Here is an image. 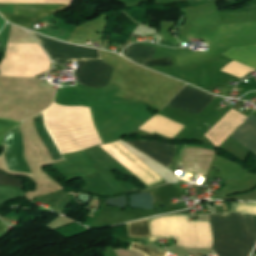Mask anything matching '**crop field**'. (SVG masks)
<instances>
[{
  "label": "crop field",
  "mask_w": 256,
  "mask_h": 256,
  "mask_svg": "<svg viewBox=\"0 0 256 256\" xmlns=\"http://www.w3.org/2000/svg\"><path fill=\"white\" fill-rule=\"evenodd\" d=\"M11 177V176H10ZM0 171V185L14 186L24 189L22 179L10 178Z\"/></svg>",
  "instance_id": "obj_13"
},
{
  "label": "crop field",
  "mask_w": 256,
  "mask_h": 256,
  "mask_svg": "<svg viewBox=\"0 0 256 256\" xmlns=\"http://www.w3.org/2000/svg\"><path fill=\"white\" fill-rule=\"evenodd\" d=\"M49 52L53 60L59 62L72 61V58L99 57L98 50L67 44L29 32ZM42 45V46H43ZM43 47V48H44ZM44 48V49H45ZM51 58V59H52ZM100 58L73 59V61L97 60ZM76 74L79 83L90 88H102L109 84L114 67L104 60L77 62Z\"/></svg>",
  "instance_id": "obj_2"
},
{
  "label": "crop field",
  "mask_w": 256,
  "mask_h": 256,
  "mask_svg": "<svg viewBox=\"0 0 256 256\" xmlns=\"http://www.w3.org/2000/svg\"><path fill=\"white\" fill-rule=\"evenodd\" d=\"M100 147H102L105 151H107L110 155H112L115 159H117L140 179H142L146 185L150 186L160 182H164V180L159 175H157L153 170L146 166L142 161H140L117 141L107 145H102Z\"/></svg>",
  "instance_id": "obj_3"
},
{
  "label": "crop field",
  "mask_w": 256,
  "mask_h": 256,
  "mask_svg": "<svg viewBox=\"0 0 256 256\" xmlns=\"http://www.w3.org/2000/svg\"><path fill=\"white\" fill-rule=\"evenodd\" d=\"M213 236L211 254L249 256L256 243V216L235 211L209 215ZM210 254V253H209Z\"/></svg>",
  "instance_id": "obj_1"
},
{
  "label": "crop field",
  "mask_w": 256,
  "mask_h": 256,
  "mask_svg": "<svg viewBox=\"0 0 256 256\" xmlns=\"http://www.w3.org/2000/svg\"><path fill=\"white\" fill-rule=\"evenodd\" d=\"M254 253H256V249H255Z\"/></svg>",
  "instance_id": "obj_15"
},
{
  "label": "crop field",
  "mask_w": 256,
  "mask_h": 256,
  "mask_svg": "<svg viewBox=\"0 0 256 256\" xmlns=\"http://www.w3.org/2000/svg\"><path fill=\"white\" fill-rule=\"evenodd\" d=\"M216 96L200 92L188 86H185L178 95L168 104L187 112L198 115L206 106H208Z\"/></svg>",
  "instance_id": "obj_5"
},
{
  "label": "crop field",
  "mask_w": 256,
  "mask_h": 256,
  "mask_svg": "<svg viewBox=\"0 0 256 256\" xmlns=\"http://www.w3.org/2000/svg\"><path fill=\"white\" fill-rule=\"evenodd\" d=\"M146 65H152V66H167V65H173L171 62V58H161V59H155V60H149L146 62Z\"/></svg>",
  "instance_id": "obj_14"
},
{
  "label": "crop field",
  "mask_w": 256,
  "mask_h": 256,
  "mask_svg": "<svg viewBox=\"0 0 256 256\" xmlns=\"http://www.w3.org/2000/svg\"><path fill=\"white\" fill-rule=\"evenodd\" d=\"M223 55L256 69L255 45L233 48L225 52Z\"/></svg>",
  "instance_id": "obj_7"
},
{
  "label": "crop field",
  "mask_w": 256,
  "mask_h": 256,
  "mask_svg": "<svg viewBox=\"0 0 256 256\" xmlns=\"http://www.w3.org/2000/svg\"><path fill=\"white\" fill-rule=\"evenodd\" d=\"M155 50V48L135 43L128 46L122 54L129 57L131 60L143 65L145 59H152Z\"/></svg>",
  "instance_id": "obj_8"
},
{
  "label": "crop field",
  "mask_w": 256,
  "mask_h": 256,
  "mask_svg": "<svg viewBox=\"0 0 256 256\" xmlns=\"http://www.w3.org/2000/svg\"><path fill=\"white\" fill-rule=\"evenodd\" d=\"M129 236L151 237L148 219L128 223Z\"/></svg>",
  "instance_id": "obj_9"
},
{
  "label": "crop field",
  "mask_w": 256,
  "mask_h": 256,
  "mask_svg": "<svg viewBox=\"0 0 256 256\" xmlns=\"http://www.w3.org/2000/svg\"><path fill=\"white\" fill-rule=\"evenodd\" d=\"M23 6H46V10H35L45 9V7H25L35 9H24ZM15 15L8 13H1V15L8 21L13 22L19 26L29 29L38 20L53 14L59 10H62L68 6L65 5H14Z\"/></svg>",
  "instance_id": "obj_4"
},
{
  "label": "crop field",
  "mask_w": 256,
  "mask_h": 256,
  "mask_svg": "<svg viewBox=\"0 0 256 256\" xmlns=\"http://www.w3.org/2000/svg\"><path fill=\"white\" fill-rule=\"evenodd\" d=\"M129 249L138 251V252L144 254L145 256H167V253H164L162 251L152 249V248H149V247H146V246L134 243V242L131 244Z\"/></svg>",
  "instance_id": "obj_11"
},
{
  "label": "crop field",
  "mask_w": 256,
  "mask_h": 256,
  "mask_svg": "<svg viewBox=\"0 0 256 256\" xmlns=\"http://www.w3.org/2000/svg\"><path fill=\"white\" fill-rule=\"evenodd\" d=\"M21 191L12 187H0V203L24 197L25 195Z\"/></svg>",
  "instance_id": "obj_10"
},
{
  "label": "crop field",
  "mask_w": 256,
  "mask_h": 256,
  "mask_svg": "<svg viewBox=\"0 0 256 256\" xmlns=\"http://www.w3.org/2000/svg\"><path fill=\"white\" fill-rule=\"evenodd\" d=\"M209 1H211V0H209Z\"/></svg>",
  "instance_id": "obj_17"
},
{
  "label": "crop field",
  "mask_w": 256,
  "mask_h": 256,
  "mask_svg": "<svg viewBox=\"0 0 256 256\" xmlns=\"http://www.w3.org/2000/svg\"><path fill=\"white\" fill-rule=\"evenodd\" d=\"M129 144L140 149L152 158L170 168V164L177 146L163 145L158 141H128Z\"/></svg>",
  "instance_id": "obj_6"
},
{
  "label": "crop field",
  "mask_w": 256,
  "mask_h": 256,
  "mask_svg": "<svg viewBox=\"0 0 256 256\" xmlns=\"http://www.w3.org/2000/svg\"><path fill=\"white\" fill-rule=\"evenodd\" d=\"M21 123L14 122L8 119H0V136H5L12 128L20 125ZM3 143V137H0V147Z\"/></svg>",
  "instance_id": "obj_12"
},
{
  "label": "crop field",
  "mask_w": 256,
  "mask_h": 256,
  "mask_svg": "<svg viewBox=\"0 0 256 256\" xmlns=\"http://www.w3.org/2000/svg\"><path fill=\"white\" fill-rule=\"evenodd\" d=\"M252 256H255V255H252Z\"/></svg>",
  "instance_id": "obj_16"
}]
</instances>
